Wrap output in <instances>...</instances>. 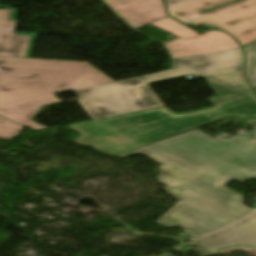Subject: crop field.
I'll return each instance as SVG.
<instances>
[{
  "label": "crop field",
  "instance_id": "crop-field-1",
  "mask_svg": "<svg viewBox=\"0 0 256 256\" xmlns=\"http://www.w3.org/2000/svg\"><path fill=\"white\" fill-rule=\"evenodd\" d=\"M142 153L161 164L159 181L177 203L156 224L184 228L200 237L255 211L243 198L211 184L246 168L256 173V138L242 133L213 139L195 129L185 134L117 156Z\"/></svg>",
  "mask_w": 256,
  "mask_h": 256
},
{
  "label": "crop field",
  "instance_id": "crop-field-2",
  "mask_svg": "<svg viewBox=\"0 0 256 256\" xmlns=\"http://www.w3.org/2000/svg\"><path fill=\"white\" fill-rule=\"evenodd\" d=\"M151 24L179 37L165 44L175 69L75 90L79 104L92 120L161 107L148 85L187 75L205 78L216 96L250 89L243 74V52L227 33L198 35L170 17Z\"/></svg>",
  "mask_w": 256,
  "mask_h": 256
},
{
  "label": "crop field",
  "instance_id": "crop-field-3",
  "mask_svg": "<svg viewBox=\"0 0 256 256\" xmlns=\"http://www.w3.org/2000/svg\"><path fill=\"white\" fill-rule=\"evenodd\" d=\"M213 108L176 115L162 107L69 126L72 141L117 156L231 116L256 119V94L244 91L210 98Z\"/></svg>",
  "mask_w": 256,
  "mask_h": 256
},
{
  "label": "crop field",
  "instance_id": "crop-field-4",
  "mask_svg": "<svg viewBox=\"0 0 256 256\" xmlns=\"http://www.w3.org/2000/svg\"><path fill=\"white\" fill-rule=\"evenodd\" d=\"M113 82L86 62L0 57V116L33 130L41 107L59 104L58 91Z\"/></svg>",
  "mask_w": 256,
  "mask_h": 256
},
{
  "label": "crop field",
  "instance_id": "crop-field-5",
  "mask_svg": "<svg viewBox=\"0 0 256 256\" xmlns=\"http://www.w3.org/2000/svg\"><path fill=\"white\" fill-rule=\"evenodd\" d=\"M176 20L206 29H220L242 46L256 40V0H167Z\"/></svg>",
  "mask_w": 256,
  "mask_h": 256
},
{
  "label": "crop field",
  "instance_id": "crop-field-6",
  "mask_svg": "<svg viewBox=\"0 0 256 256\" xmlns=\"http://www.w3.org/2000/svg\"><path fill=\"white\" fill-rule=\"evenodd\" d=\"M192 244L210 256L240 248L256 250V212Z\"/></svg>",
  "mask_w": 256,
  "mask_h": 256
},
{
  "label": "crop field",
  "instance_id": "crop-field-7",
  "mask_svg": "<svg viewBox=\"0 0 256 256\" xmlns=\"http://www.w3.org/2000/svg\"><path fill=\"white\" fill-rule=\"evenodd\" d=\"M103 1L132 28L167 16L163 0Z\"/></svg>",
  "mask_w": 256,
  "mask_h": 256
},
{
  "label": "crop field",
  "instance_id": "crop-field-8",
  "mask_svg": "<svg viewBox=\"0 0 256 256\" xmlns=\"http://www.w3.org/2000/svg\"><path fill=\"white\" fill-rule=\"evenodd\" d=\"M17 10H0V56L29 58L35 35L14 33Z\"/></svg>",
  "mask_w": 256,
  "mask_h": 256
},
{
  "label": "crop field",
  "instance_id": "crop-field-9",
  "mask_svg": "<svg viewBox=\"0 0 256 256\" xmlns=\"http://www.w3.org/2000/svg\"><path fill=\"white\" fill-rule=\"evenodd\" d=\"M244 50L246 52V74L251 85L256 88V42L244 47Z\"/></svg>",
  "mask_w": 256,
  "mask_h": 256
},
{
  "label": "crop field",
  "instance_id": "crop-field-10",
  "mask_svg": "<svg viewBox=\"0 0 256 256\" xmlns=\"http://www.w3.org/2000/svg\"><path fill=\"white\" fill-rule=\"evenodd\" d=\"M23 126L0 117V139L10 140L22 132Z\"/></svg>",
  "mask_w": 256,
  "mask_h": 256
},
{
  "label": "crop field",
  "instance_id": "crop-field-11",
  "mask_svg": "<svg viewBox=\"0 0 256 256\" xmlns=\"http://www.w3.org/2000/svg\"><path fill=\"white\" fill-rule=\"evenodd\" d=\"M252 177H256V174L252 173V172H250V171H248L246 169H243V170H241V171H239V172H237V173H235V174H233V175H231V176H229V177H227V178H225V179H223V180L213 184V186H215V187H217V188H219L221 190H224L226 192H229V193H232L234 195H237V196L241 197V195H238V194H236V193H234L232 191L226 190L223 187V183L226 182V181H230V180H235V181L242 182V181H244V180H246L248 178H252Z\"/></svg>",
  "mask_w": 256,
  "mask_h": 256
},
{
  "label": "crop field",
  "instance_id": "crop-field-12",
  "mask_svg": "<svg viewBox=\"0 0 256 256\" xmlns=\"http://www.w3.org/2000/svg\"><path fill=\"white\" fill-rule=\"evenodd\" d=\"M186 246L187 245H185L184 243H180L172 249L177 250L178 252H181V253H188L191 249L187 248Z\"/></svg>",
  "mask_w": 256,
  "mask_h": 256
},
{
  "label": "crop field",
  "instance_id": "crop-field-13",
  "mask_svg": "<svg viewBox=\"0 0 256 256\" xmlns=\"http://www.w3.org/2000/svg\"><path fill=\"white\" fill-rule=\"evenodd\" d=\"M251 133L256 136V127L254 129H252Z\"/></svg>",
  "mask_w": 256,
  "mask_h": 256
},
{
  "label": "crop field",
  "instance_id": "crop-field-14",
  "mask_svg": "<svg viewBox=\"0 0 256 256\" xmlns=\"http://www.w3.org/2000/svg\"><path fill=\"white\" fill-rule=\"evenodd\" d=\"M255 126H256V121L255 122H252Z\"/></svg>",
  "mask_w": 256,
  "mask_h": 256
},
{
  "label": "crop field",
  "instance_id": "crop-field-15",
  "mask_svg": "<svg viewBox=\"0 0 256 256\" xmlns=\"http://www.w3.org/2000/svg\"><path fill=\"white\" fill-rule=\"evenodd\" d=\"M164 256H166V255H164Z\"/></svg>",
  "mask_w": 256,
  "mask_h": 256
}]
</instances>
